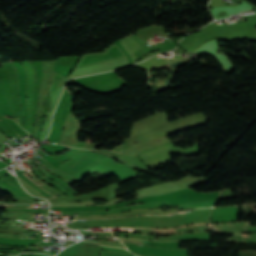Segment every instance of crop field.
<instances>
[{
	"label": "crop field",
	"instance_id": "8a807250",
	"mask_svg": "<svg viewBox=\"0 0 256 256\" xmlns=\"http://www.w3.org/2000/svg\"><path fill=\"white\" fill-rule=\"evenodd\" d=\"M159 233H167V234H173L176 233L174 229L172 230H159Z\"/></svg>",
	"mask_w": 256,
	"mask_h": 256
}]
</instances>
